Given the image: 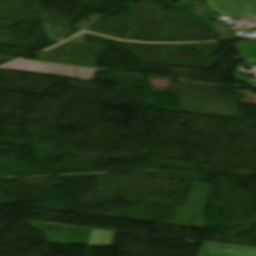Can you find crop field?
<instances>
[{"label": "crop field", "mask_w": 256, "mask_h": 256, "mask_svg": "<svg viewBox=\"0 0 256 256\" xmlns=\"http://www.w3.org/2000/svg\"><path fill=\"white\" fill-rule=\"evenodd\" d=\"M0 68L75 79V68L71 67L40 64L19 60Z\"/></svg>", "instance_id": "8a807250"}, {"label": "crop field", "mask_w": 256, "mask_h": 256, "mask_svg": "<svg viewBox=\"0 0 256 256\" xmlns=\"http://www.w3.org/2000/svg\"><path fill=\"white\" fill-rule=\"evenodd\" d=\"M198 256H256V250L205 243Z\"/></svg>", "instance_id": "ac0d7876"}, {"label": "crop field", "mask_w": 256, "mask_h": 256, "mask_svg": "<svg viewBox=\"0 0 256 256\" xmlns=\"http://www.w3.org/2000/svg\"><path fill=\"white\" fill-rule=\"evenodd\" d=\"M70 53L100 57L105 47L71 43Z\"/></svg>", "instance_id": "34b2d1b8"}, {"label": "crop field", "mask_w": 256, "mask_h": 256, "mask_svg": "<svg viewBox=\"0 0 256 256\" xmlns=\"http://www.w3.org/2000/svg\"><path fill=\"white\" fill-rule=\"evenodd\" d=\"M114 234L112 232L94 230L89 245L111 246Z\"/></svg>", "instance_id": "412701ff"}, {"label": "crop field", "mask_w": 256, "mask_h": 256, "mask_svg": "<svg viewBox=\"0 0 256 256\" xmlns=\"http://www.w3.org/2000/svg\"><path fill=\"white\" fill-rule=\"evenodd\" d=\"M95 72L96 70L77 68V79H84V80L91 81Z\"/></svg>", "instance_id": "f4fd0767"}, {"label": "crop field", "mask_w": 256, "mask_h": 256, "mask_svg": "<svg viewBox=\"0 0 256 256\" xmlns=\"http://www.w3.org/2000/svg\"><path fill=\"white\" fill-rule=\"evenodd\" d=\"M69 47H70V44L67 42H64V43H62L50 50H47V51L68 53Z\"/></svg>", "instance_id": "dd49c442"}]
</instances>
